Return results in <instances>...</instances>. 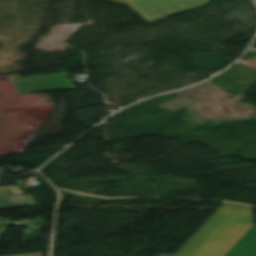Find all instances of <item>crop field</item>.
Returning <instances> with one entry per match:
<instances>
[{"label": "crop field", "mask_w": 256, "mask_h": 256, "mask_svg": "<svg viewBox=\"0 0 256 256\" xmlns=\"http://www.w3.org/2000/svg\"><path fill=\"white\" fill-rule=\"evenodd\" d=\"M249 206L223 203L176 256H222L253 225Z\"/></svg>", "instance_id": "crop-field-1"}, {"label": "crop field", "mask_w": 256, "mask_h": 256, "mask_svg": "<svg viewBox=\"0 0 256 256\" xmlns=\"http://www.w3.org/2000/svg\"><path fill=\"white\" fill-rule=\"evenodd\" d=\"M128 5L149 22L199 7L210 0H107Z\"/></svg>", "instance_id": "crop-field-2"}, {"label": "crop field", "mask_w": 256, "mask_h": 256, "mask_svg": "<svg viewBox=\"0 0 256 256\" xmlns=\"http://www.w3.org/2000/svg\"><path fill=\"white\" fill-rule=\"evenodd\" d=\"M18 94L72 89L68 73L20 78L18 74L9 75Z\"/></svg>", "instance_id": "crop-field-3"}, {"label": "crop field", "mask_w": 256, "mask_h": 256, "mask_svg": "<svg viewBox=\"0 0 256 256\" xmlns=\"http://www.w3.org/2000/svg\"><path fill=\"white\" fill-rule=\"evenodd\" d=\"M33 204L31 195L20 196L19 192H13L12 186L0 188V210Z\"/></svg>", "instance_id": "crop-field-4"}, {"label": "crop field", "mask_w": 256, "mask_h": 256, "mask_svg": "<svg viewBox=\"0 0 256 256\" xmlns=\"http://www.w3.org/2000/svg\"><path fill=\"white\" fill-rule=\"evenodd\" d=\"M226 256H256V225L245 234Z\"/></svg>", "instance_id": "crop-field-5"}, {"label": "crop field", "mask_w": 256, "mask_h": 256, "mask_svg": "<svg viewBox=\"0 0 256 256\" xmlns=\"http://www.w3.org/2000/svg\"><path fill=\"white\" fill-rule=\"evenodd\" d=\"M27 224L28 228L24 232V243L39 239L42 229L45 228L42 219L29 221Z\"/></svg>", "instance_id": "crop-field-6"}, {"label": "crop field", "mask_w": 256, "mask_h": 256, "mask_svg": "<svg viewBox=\"0 0 256 256\" xmlns=\"http://www.w3.org/2000/svg\"><path fill=\"white\" fill-rule=\"evenodd\" d=\"M9 220H6V219H0V238L8 224Z\"/></svg>", "instance_id": "crop-field-7"}, {"label": "crop field", "mask_w": 256, "mask_h": 256, "mask_svg": "<svg viewBox=\"0 0 256 256\" xmlns=\"http://www.w3.org/2000/svg\"><path fill=\"white\" fill-rule=\"evenodd\" d=\"M17 256H42V254L37 253V254H27V255H17Z\"/></svg>", "instance_id": "crop-field-8"}, {"label": "crop field", "mask_w": 256, "mask_h": 256, "mask_svg": "<svg viewBox=\"0 0 256 256\" xmlns=\"http://www.w3.org/2000/svg\"><path fill=\"white\" fill-rule=\"evenodd\" d=\"M2 175H3V168H0V182H1V179H2Z\"/></svg>", "instance_id": "crop-field-9"}, {"label": "crop field", "mask_w": 256, "mask_h": 256, "mask_svg": "<svg viewBox=\"0 0 256 256\" xmlns=\"http://www.w3.org/2000/svg\"><path fill=\"white\" fill-rule=\"evenodd\" d=\"M163 256H171V255L164 254Z\"/></svg>", "instance_id": "crop-field-10"}]
</instances>
